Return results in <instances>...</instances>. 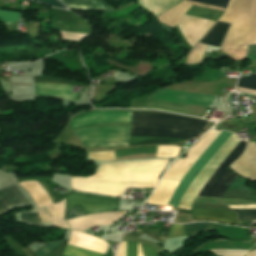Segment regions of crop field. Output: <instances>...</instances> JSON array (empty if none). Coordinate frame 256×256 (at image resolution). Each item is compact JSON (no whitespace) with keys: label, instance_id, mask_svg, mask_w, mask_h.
Instances as JSON below:
<instances>
[{"label":"crop field","instance_id":"obj_5","mask_svg":"<svg viewBox=\"0 0 256 256\" xmlns=\"http://www.w3.org/2000/svg\"><path fill=\"white\" fill-rule=\"evenodd\" d=\"M119 199L67 192V211L79 206L84 214L118 210Z\"/></svg>","mask_w":256,"mask_h":256},{"label":"crop field","instance_id":"obj_20","mask_svg":"<svg viewBox=\"0 0 256 256\" xmlns=\"http://www.w3.org/2000/svg\"><path fill=\"white\" fill-rule=\"evenodd\" d=\"M115 152H116L117 157L126 156V155H132V154H138V153L155 154L156 146L125 149V150H119V151H115Z\"/></svg>","mask_w":256,"mask_h":256},{"label":"crop field","instance_id":"obj_10","mask_svg":"<svg viewBox=\"0 0 256 256\" xmlns=\"http://www.w3.org/2000/svg\"><path fill=\"white\" fill-rule=\"evenodd\" d=\"M28 202L15 185L0 190V213L7 208L27 204Z\"/></svg>","mask_w":256,"mask_h":256},{"label":"crop field","instance_id":"obj_36","mask_svg":"<svg viewBox=\"0 0 256 256\" xmlns=\"http://www.w3.org/2000/svg\"><path fill=\"white\" fill-rule=\"evenodd\" d=\"M41 184H42V186L46 189V191L49 193V195H50V197H51V199H52L53 204H54V203H57L58 201H57V199L55 198L53 192L46 186L45 183H41Z\"/></svg>","mask_w":256,"mask_h":256},{"label":"crop field","instance_id":"obj_32","mask_svg":"<svg viewBox=\"0 0 256 256\" xmlns=\"http://www.w3.org/2000/svg\"><path fill=\"white\" fill-rule=\"evenodd\" d=\"M246 58H249L251 60H256V44L248 45Z\"/></svg>","mask_w":256,"mask_h":256},{"label":"crop field","instance_id":"obj_25","mask_svg":"<svg viewBox=\"0 0 256 256\" xmlns=\"http://www.w3.org/2000/svg\"><path fill=\"white\" fill-rule=\"evenodd\" d=\"M222 23L217 22L213 28L204 36V38L200 41V43H204L209 45V43L211 42V40L213 39V37L215 36V34L218 32V30L220 29Z\"/></svg>","mask_w":256,"mask_h":256},{"label":"crop field","instance_id":"obj_24","mask_svg":"<svg viewBox=\"0 0 256 256\" xmlns=\"http://www.w3.org/2000/svg\"><path fill=\"white\" fill-rule=\"evenodd\" d=\"M88 158L97 160H115L113 151L109 152H89Z\"/></svg>","mask_w":256,"mask_h":256},{"label":"crop field","instance_id":"obj_33","mask_svg":"<svg viewBox=\"0 0 256 256\" xmlns=\"http://www.w3.org/2000/svg\"><path fill=\"white\" fill-rule=\"evenodd\" d=\"M81 215H84V214H83V212L80 210V208L77 207V208H75V209H73V210H71V211H69V212L67 213V218H66V220L71 219V218H74V217H77V216H81Z\"/></svg>","mask_w":256,"mask_h":256},{"label":"crop field","instance_id":"obj_31","mask_svg":"<svg viewBox=\"0 0 256 256\" xmlns=\"http://www.w3.org/2000/svg\"><path fill=\"white\" fill-rule=\"evenodd\" d=\"M61 35H62V38L74 39V40H79L85 36L84 34L64 32V31H61Z\"/></svg>","mask_w":256,"mask_h":256},{"label":"crop field","instance_id":"obj_12","mask_svg":"<svg viewBox=\"0 0 256 256\" xmlns=\"http://www.w3.org/2000/svg\"><path fill=\"white\" fill-rule=\"evenodd\" d=\"M192 4L182 1L177 6L173 7L169 11L165 12L161 16L157 17L158 21L171 28L186 14L191 8Z\"/></svg>","mask_w":256,"mask_h":256},{"label":"crop field","instance_id":"obj_11","mask_svg":"<svg viewBox=\"0 0 256 256\" xmlns=\"http://www.w3.org/2000/svg\"><path fill=\"white\" fill-rule=\"evenodd\" d=\"M179 182L162 179L161 183L147 201L149 204L166 206L171 195L177 188Z\"/></svg>","mask_w":256,"mask_h":256},{"label":"crop field","instance_id":"obj_19","mask_svg":"<svg viewBox=\"0 0 256 256\" xmlns=\"http://www.w3.org/2000/svg\"><path fill=\"white\" fill-rule=\"evenodd\" d=\"M206 48L207 45L198 43L197 46L193 49V51L190 54H188L186 65L201 63Z\"/></svg>","mask_w":256,"mask_h":256},{"label":"crop field","instance_id":"obj_37","mask_svg":"<svg viewBox=\"0 0 256 256\" xmlns=\"http://www.w3.org/2000/svg\"><path fill=\"white\" fill-rule=\"evenodd\" d=\"M22 250L26 253L27 256H33V254L30 251H28L27 249L22 248Z\"/></svg>","mask_w":256,"mask_h":256},{"label":"crop field","instance_id":"obj_15","mask_svg":"<svg viewBox=\"0 0 256 256\" xmlns=\"http://www.w3.org/2000/svg\"><path fill=\"white\" fill-rule=\"evenodd\" d=\"M64 4L74 8L110 10L102 0H61ZM65 5V6H66Z\"/></svg>","mask_w":256,"mask_h":256},{"label":"crop field","instance_id":"obj_6","mask_svg":"<svg viewBox=\"0 0 256 256\" xmlns=\"http://www.w3.org/2000/svg\"><path fill=\"white\" fill-rule=\"evenodd\" d=\"M68 244H72L75 246H79L82 248L90 249L93 251H97L100 253H106L108 244L105 241H102L96 237L90 236L86 233L72 231L70 240ZM66 245L64 250V255L68 256H104V254H100L97 252H93L90 250L82 249L79 247H75L72 245Z\"/></svg>","mask_w":256,"mask_h":256},{"label":"crop field","instance_id":"obj_8","mask_svg":"<svg viewBox=\"0 0 256 256\" xmlns=\"http://www.w3.org/2000/svg\"><path fill=\"white\" fill-rule=\"evenodd\" d=\"M125 213L126 212L91 214L68 220L67 222L71 229L83 231L96 225H110Z\"/></svg>","mask_w":256,"mask_h":256},{"label":"crop field","instance_id":"obj_3","mask_svg":"<svg viewBox=\"0 0 256 256\" xmlns=\"http://www.w3.org/2000/svg\"><path fill=\"white\" fill-rule=\"evenodd\" d=\"M207 122L171 114L133 112L131 132L179 135L193 138ZM131 133L129 146L176 143L188 138L170 135Z\"/></svg>","mask_w":256,"mask_h":256},{"label":"crop field","instance_id":"obj_27","mask_svg":"<svg viewBox=\"0 0 256 256\" xmlns=\"http://www.w3.org/2000/svg\"><path fill=\"white\" fill-rule=\"evenodd\" d=\"M219 256H243L247 251L242 250H212Z\"/></svg>","mask_w":256,"mask_h":256},{"label":"crop field","instance_id":"obj_35","mask_svg":"<svg viewBox=\"0 0 256 256\" xmlns=\"http://www.w3.org/2000/svg\"><path fill=\"white\" fill-rule=\"evenodd\" d=\"M52 220H53V225L68 228L65 221L60 220V219H56V218H53V217H52Z\"/></svg>","mask_w":256,"mask_h":256},{"label":"crop field","instance_id":"obj_14","mask_svg":"<svg viewBox=\"0 0 256 256\" xmlns=\"http://www.w3.org/2000/svg\"><path fill=\"white\" fill-rule=\"evenodd\" d=\"M194 215H216L237 220L234 213L221 212L216 210H193ZM216 216H194L195 220H210L224 223L236 224L237 221Z\"/></svg>","mask_w":256,"mask_h":256},{"label":"crop field","instance_id":"obj_13","mask_svg":"<svg viewBox=\"0 0 256 256\" xmlns=\"http://www.w3.org/2000/svg\"><path fill=\"white\" fill-rule=\"evenodd\" d=\"M179 1L181 0H138L136 2L156 17L176 5Z\"/></svg>","mask_w":256,"mask_h":256},{"label":"crop field","instance_id":"obj_23","mask_svg":"<svg viewBox=\"0 0 256 256\" xmlns=\"http://www.w3.org/2000/svg\"><path fill=\"white\" fill-rule=\"evenodd\" d=\"M20 13L0 11V20L6 24L16 22L19 20Z\"/></svg>","mask_w":256,"mask_h":256},{"label":"crop field","instance_id":"obj_30","mask_svg":"<svg viewBox=\"0 0 256 256\" xmlns=\"http://www.w3.org/2000/svg\"><path fill=\"white\" fill-rule=\"evenodd\" d=\"M238 216L256 214V210L237 211ZM256 219V215L239 217V220Z\"/></svg>","mask_w":256,"mask_h":256},{"label":"crop field","instance_id":"obj_18","mask_svg":"<svg viewBox=\"0 0 256 256\" xmlns=\"http://www.w3.org/2000/svg\"><path fill=\"white\" fill-rule=\"evenodd\" d=\"M142 245V244H141ZM146 256H158L152 247L142 245ZM127 256H137V244L127 242ZM138 256H143L141 249L138 245Z\"/></svg>","mask_w":256,"mask_h":256},{"label":"crop field","instance_id":"obj_26","mask_svg":"<svg viewBox=\"0 0 256 256\" xmlns=\"http://www.w3.org/2000/svg\"><path fill=\"white\" fill-rule=\"evenodd\" d=\"M228 26H229V24H227V23L223 24L222 28L220 29V31L218 32L216 37L210 43L211 46H216V47L219 46V44L221 43V41H222L226 31H227Z\"/></svg>","mask_w":256,"mask_h":256},{"label":"crop field","instance_id":"obj_17","mask_svg":"<svg viewBox=\"0 0 256 256\" xmlns=\"http://www.w3.org/2000/svg\"><path fill=\"white\" fill-rule=\"evenodd\" d=\"M186 236L191 237L194 236V233L205 232V231H213L216 230L217 224L215 223H191L183 225Z\"/></svg>","mask_w":256,"mask_h":256},{"label":"crop field","instance_id":"obj_1","mask_svg":"<svg viewBox=\"0 0 256 256\" xmlns=\"http://www.w3.org/2000/svg\"><path fill=\"white\" fill-rule=\"evenodd\" d=\"M218 130L212 129L202 139H200L194 146H192L187 153L186 159L178 158L166 171L164 177L181 181L190 167L211 143V141L218 134ZM228 132L220 131L208 148L203 152L195 164L191 167L188 173L180 182L178 188L174 192L169 204L174 205L177 208L178 200L196 175L207 159L212 153L219 147V145L228 136ZM239 140L236 139V135L229 134L220 147L213 153V155L204 164L201 170L194 177L184 194L182 195L178 208L190 210L191 204L198 195L199 191L203 187L206 180L216 169L219 163L224 157L231 151ZM246 144L243 141H239L238 144L232 149V151L225 157L220 163L217 169L213 172L206 184L202 188L199 195L222 197L225 190L232 184L237 177L231 171L226 170L243 152Z\"/></svg>","mask_w":256,"mask_h":256},{"label":"crop field","instance_id":"obj_22","mask_svg":"<svg viewBox=\"0 0 256 256\" xmlns=\"http://www.w3.org/2000/svg\"><path fill=\"white\" fill-rule=\"evenodd\" d=\"M180 148L172 146H157L156 157H176Z\"/></svg>","mask_w":256,"mask_h":256},{"label":"crop field","instance_id":"obj_21","mask_svg":"<svg viewBox=\"0 0 256 256\" xmlns=\"http://www.w3.org/2000/svg\"><path fill=\"white\" fill-rule=\"evenodd\" d=\"M238 86L256 90V77L241 78V80L238 83ZM244 88L238 87V90L242 92L256 94V91L248 90Z\"/></svg>","mask_w":256,"mask_h":256},{"label":"crop field","instance_id":"obj_39","mask_svg":"<svg viewBox=\"0 0 256 256\" xmlns=\"http://www.w3.org/2000/svg\"><path fill=\"white\" fill-rule=\"evenodd\" d=\"M136 1V0H135Z\"/></svg>","mask_w":256,"mask_h":256},{"label":"crop field","instance_id":"obj_29","mask_svg":"<svg viewBox=\"0 0 256 256\" xmlns=\"http://www.w3.org/2000/svg\"><path fill=\"white\" fill-rule=\"evenodd\" d=\"M225 8L228 0H191Z\"/></svg>","mask_w":256,"mask_h":256},{"label":"crop field","instance_id":"obj_28","mask_svg":"<svg viewBox=\"0 0 256 256\" xmlns=\"http://www.w3.org/2000/svg\"><path fill=\"white\" fill-rule=\"evenodd\" d=\"M184 234V230L182 225H171L170 230L168 232V236L167 238H171V237H177V236H183Z\"/></svg>","mask_w":256,"mask_h":256},{"label":"crop field","instance_id":"obj_7","mask_svg":"<svg viewBox=\"0 0 256 256\" xmlns=\"http://www.w3.org/2000/svg\"><path fill=\"white\" fill-rule=\"evenodd\" d=\"M20 184L30 193L38 208L46 206L52 216L63 219L65 200L52 205L49 195L37 181H25Z\"/></svg>","mask_w":256,"mask_h":256},{"label":"crop field","instance_id":"obj_34","mask_svg":"<svg viewBox=\"0 0 256 256\" xmlns=\"http://www.w3.org/2000/svg\"><path fill=\"white\" fill-rule=\"evenodd\" d=\"M36 1L44 2V3H47L51 6H57V7L65 8L60 2H58L56 0H36Z\"/></svg>","mask_w":256,"mask_h":256},{"label":"crop field","instance_id":"obj_16","mask_svg":"<svg viewBox=\"0 0 256 256\" xmlns=\"http://www.w3.org/2000/svg\"><path fill=\"white\" fill-rule=\"evenodd\" d=\"M43 223H52L51 216L48 214L46 208L37 210ZM37 213H21V219L32 224L42 225V222Z\"/></svg>","mask_w":256,"mask_h":256},{"label":"crop field","instance_id":"obj_2","mask_svg":"<svg viewBox=\"0 0 256 256\" xmlns=\"http://www.w3.org/2000/svg\"><path fill=\"white\" fill-rule=\"evenodd\" d=\"M167 162L144 160L103 164L88 178L71 176V189L122 196L127 187L154 188Z\"/></svg>","mask_w":256,"mask_h":256},{"label":"crop field","instance_id":"obj_38","mask_svg":"<svg viewBox=\"0 0 256 256\" xmlns=\"http://www.w3.org/2000/svg\"><path fill=\"white\" fill-rule=\"evenodd\" d=\"M245 256H256V250L253 252L247 253Z\"/></svg>","mask_w":256,"mask_h":256},{"label":"crop field","instance_id":"obj_4","mask_svg":"<svg viewBox=\"0 0 256 256\" xmlns=\"http://www.w3.org/2000/svg\"><path fill=\"white\" fill-rule=\"evenodd\" d=\"M233 23L222 48H246L248 34V0H231L220 19ZM256 43V0H249V34L248 44Z\"/></svg>","mask_w":256,"mask_h":256},{"label":"crop field","instance_id":"obj_9","mask_svg":"<svg viewBox=\"0 0 256 256\" xmlns=\"http://www.w3.org/2000/svg\"><path fill=\"white\" fill-rule=\"evenodd\" d=\"M237 173L248 179L256 178V144L251 142L245 153L231 165Z\"/></svg>","mask_w":256,"mask_h":256}]
</instances>
